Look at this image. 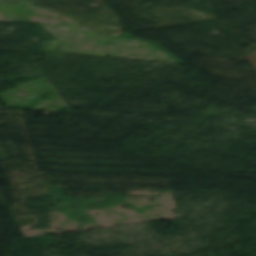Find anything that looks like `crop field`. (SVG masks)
<instances>
[{"label": "crop field", "mask_w": 256, "mask_h": 256, "mask_svg": "<svg viewBox=\"0 0 256 256\" xmlns=\"http://www.w3.org/2000/svg\"><path fill=\"white\" fill-rule=\"evenodd\" d=\"M246 58L251 63V65L254 67V69L256 70V56H250V57H246Z\"/></svg>", "instance_id": "crop-field-1"}]
</instances>
